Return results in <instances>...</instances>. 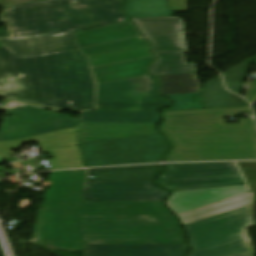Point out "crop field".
<instances>
[{
  "instance_id": "obj_1",
  "label": "crop field",
  "mask_w": 256,
  "mask_h": 256,
  "mask_svg": "<svg viewBox=\"0 0 256 256\" xmlns=\"http://www.w3.org/2000/svg\"><path fill=\"white\" fill-rule=\"evenodd\" d=\"M33 240L83 244H186L163 201L85 202L83 209H39Z\"/></svg>"
},
{
  "instance_id": "obj_2",
  "label": "crop field",
  "mask_w": 256,
  "mask_h": 256,
  "mask_svg": "<svg viewBox=\"0 0 256 256\" xmlns=\"http://www.w3.org/2000/svg\"><path fill=\"white\" fill-rule=\"evenodd\" d=\"M20 76L36 90L7 98L57 111L94 108L93 80L79 50L18 59L0 48V80Z\"/></svg>"
},
{
  "instance_id": "obj_3",
  "label": "crop field",
  "mask_w": 256,
  "mask_h": 256,
  "mask_svg": "<svg viewBox=\"0 0 256 256\" xmlns=\"http://www.w3.org/2000/svg\"><path fill=\"white\" fill-rule=\"evenodd\" d=\"M250 112L249 107L167 112L164 127L177 149L169 161L256 159L251 119L225 124L224 115Z\"/></svg>"
},
{
  "instance_id": "obj_4",
  "label": "crop field",
  "mask_w": 256,
  "mask_h": 256,
  "mask_svg": "<svg viewBox=\"0 0 256 256\" xmlns=\"http://www.w3.org/2000/svg\"><path fill=\"white\" fill-rule=\"evenodd\" d=\"M122 0H48L7 8L5 22L13 37L81 31L129 19Z\"/></svg>"
},
{
  "instance_id": "obj_5",
  "label": "crop field",
  "mask_w": 256,
  "mask_h": 256,
  "mask_svg": "<svg viewBox=\"0 0 256 256\" xmlns=\"http://www.w3.org/2000/svg\"><path fill=\"white\" fill-rule=\"evenodd\" d=\"M253 226L251 205L187 225L189 256H254L247 232Z\"/></svg>"
},
{
  "instance_id": "obj_6",
  "label": "crop field",
  "mask_w": 256,
  "mask_h": 256,
  "mask_svg": "<svg viewBox=\"0 0 256 256\" xmlns=\"http://www.w3.org/2000/svg\"><path fill=\"white\" fill-rule=\"evenodd\" d=\"M12 117L3 118L11 126L0 129V141L17 140L76 127L79 121L69 116L27 106L7 111Z\"/></svg>"
},
{
  "instance_id": "obj_7",
  "label": "crop field",
  "mask_w": 256,
  "mask_h": 256,
  "mask_svg": "<svg viewBox=\"0 0 256 256\" xmlns=\"http://www.w3.org/2000/svg\"><path fill=\"white\" fill-rule=\"evenodd\" d=\"M141 32L152 42V53L187 51L184 21L177 17L133 19Z\"/></svg>"
},
{
  "instance_id": "obj_8",
  "label": "crop field",
  "mask_w": 256,
  "mask_h": 256,
  "mask_svg": "<svg viewBox=\"0 0 256 256\" xmlns=\"http://www.w3.org/2000/svg\"><path fill=\"white\" fill-rule=\"evenodd\" d=\"M152 180L87 184L85 201L164 200L169 194L151 185Z\"/></svg>"
},
{
  "instance_id": "obj_9",
  "label": "crop field",
  "mask_w": 256,
  "mask_h": 256,
  "mask_svg": "<svg viewBox=\"0 0 256 256\" xmlns=\"http://www.w3.org/2000/svg\"><path fill=\"white\" fill-rule=\"evenodd\" d=\"M86 170L51 173L52 186L43 208H82Z\"/></svg>"
},
{
  "instance_id": "obj_10",
  "label": "crop field",
  "mask_w": 256,
  "mask_h": 256,
  "mask_svg": "<svg viewBox=\"0 0 256 256\" xmlns=\"http://www.w3.org/2000/svg\"><path fill=\"white\" fill-rule=\"evenodd\" d=\"M18 58L78 49L74 32L0 39Z\"/></svg>"
},
{
  "instance_id": "obj_11",
  "label": "crop field",
  "mask_w": 256,
  "mask_h": 256,
  "mask_svg": "<svg viewBox=\"0 0 256 256\" xmlns=\"http://www.w3.org/2000/svg\"><path fill=\"white\" fill-rule=\"evenodd\" d=\"M156 91V81L147 75L98 86L97 101L167 100Z\"/></svg>"
},
{
  "instance_id": "obj_12",
  "label": "crop field",
  "mask_w": 256,
  "mask_h": 256,
  "mask_svg": "<svg viewBox=\"0 0 256 256\" xmlns=\"http://www.w3.org/2000/svg\"><path fill=\"white\" fill-rule=\"evenodd\" d=\"M212 191H216L217 194H212ZM247 193L246 186L173 192L167 204L173 212L179 215Z\"/></svg>"
},
{
  "instance_id": "obj_13",
  "label": "crop field",
  "mask_w": 256,
  "mask_h": 256,
  "mask_svg": "<svg viewBox=\"0 0 256 256\" xmlns=\"http://www.w3.org/2000/svg\"><path fill=\"white\" fill-rule=\"evenodd\" d=\"M85 256H184L186 245H84Z\"/></svg>"
},
{
  "instance_id": "obj_14",
  "label": "crop field",
  "mask_w": 256,
  "mask_h": 256,
  "mask_svg": "<svg viewBox=\"0 0 256 256\" xmlns=\"http://www.w3.org/2000/svg\"><path fill=\"white\" fill-rule=\"evenodd\" d=\"M158 124L80 123V142L126 136L155 134Z\"/></svg>"
},
{
  "instance_id": "obj_15",
  "label": "crop field",
  "mask_w": 256,
  "mask_h": 256,
  "mask_svg": "<svg viewBox=\"0 0 256 256\" xmlns=\"http://www.w3.org/2000/svg\"><path fill=\"white\" fill-rule=\"evenodd\" d=\"M163 171V165L88 170L87 183L154 179ZM89 176L94 178L89 179Z\"/></svg>"
},
{
  "instance_id": "obj_16",
  "label": "crop field",
  "mask_w": 256,
  "mask_h": 256,
  "mask_svg": "<svg viewBox=\"0 0 256 256\" xmlns=\"http://www.w3.org/2000/svg\"><path fill=\"white\" fill-rule=\"evenodd\" d=\"M161 179L240 175L234 163L171 164Z\"/></svg>"
},
{
  "instance_id": "obj_17",
  "label": "crop field",
  "mask_w": 256,
  "mask_h": 256,
  "mask_svg": "<svg viewBox=\"0 0 256 256\" xmlns=\"http://www.w3.org/2000/svg\"><path fill=\"white\" fill-rule=\"evenodd\" d=\"M155 57H146L92 69L98 85L149 74Z\"/></svg>"
},
{
  "instance_id": "obj_18",
  "label": "crop field",
  "mask_w": 256,
  "mask_h": 256,
  "mask_svg": "<svg viewBox=\"0 0 256 256\" xmlns=\"http://www.w3.org/2000/svg\"><path fill=\"white\" fill-rule=\"evenodd\" d=\"M78 47L84 48L106 42L138 36L131 21L75 33Z\"/></svg>"
},
{
  "instance_id": "obj_19",
  "label": "crop field",
  "mask_w": 256,
  "mask_h": 256,
  "mask_svg": "<svg viewBox=\"0 0 256 256\" xmlns=\"http://www.w3.org/2000/svg\"><path fill=\"white\" fill-rule=\"evenodd\" d=\"M157 186L170 191L206 189L222 186L245 185L241 176L192 179L156 180Z\"/></svg>"
},
{
  "instance_id": "obj_20",
  "label": "crop field",
  "mask_w": 256,
  "mask_h": 256,
  "mask_svg": "<svg viewBox=\"0 0 256 256\" xmlns=\"http://www.w3.org/2000/svg\"><path fill=\"white\" fill-rule=\"evenodd\" d=\"M80 122L159 123L158 112H84Z\"/></svg>"
},
{
  "instance_id": "obj_21",
  "label": "crop field",
  "mask_w": 256,
  "mask_h": 256,
  "mask_svg": "<svg viewBox=\"0 0 256 256\" xmlns=\"http://www.w3.org/2000/svg\"><path fill=\"white\" fill-rule=\"evenodd\" d=\"M203 98L206 108L248 106L240 97L224 90L220 77L206 83Z\"/></svg>"
},
{
  "instance_id": "obj_22",
  "label": "crop field",
  "mask_w": 256,
  "mask_h": 256,
  "mask_svg": "<svg viewBox=\"0 0 256 256\" xmlns=\"http://www.w3.org/2000/svg\"><path fill=\"white\" fill-rule=\"evenodd\" d=\"M250 204V194H247L202 209H198L186 214L179 215V218L182 220L183 225H185Z\"/></svg>"
},
{
  "instance_id": "obj_23",
  "label": "crop field",
  "mask_w": 256,
  "mask_h": 256,
  "mask_svg": "<svg viewBox=\"0 0 256 256\" xmlns=\"http://www.w3.org/2000/svg\"><path fill=\"white\" fill-rule=\"evenodd\" d=\"M155 78L160 82V93L162 95L200 92L196 84L195 73L156 76Z\"/></svg>"
},
{
  "instance_id": "obj_24",
  "label": "crop field",
  "mask_w": 256,
  "mask_h": 256,
  "mask_svg": "<svg viewBox=\"0 0 256 256\" xmlns=\"http://www.w3.org/2000/svg\"><path fill=\"white\" fill-rule=\"evenodd\" d=\"M158 60L150 72L155 75L196 72V66L186 64L184 52L155 54Z\"/></svg>"
},
{
  "instance_id": "obj_25",
  "label": "crop field",
  "mask_w": 256,
  "mask_h": 256,
  "mask_svg": "<svg viewBox=\"0 0 256 256\" xmlns=\"http://www.w3.org/2000/svg\"><path fill=\"white\" fill-rule=\"evenodd\" d=\"M124 10L130 17L174 16L167 0H127Z\"/></svg>"
},
{
  "instance_id": "obj_26",
  "label": "crop field",
  "mask_w": 256,
  "mask_h": 256,
  "mask_svg": "<svg viewBox=\"0 0 256 256\" xmlns=\"http://www.w3.org/2000/svg\"><path fill=\"white\" fill-rule=\"evenodd\" d=\"M52 151L54 159H48L51 169H66L82 166V155L78 146L42 149Z\"/></svg>"
},
{
  "instance_id": "obj_27",
  "label": "crop field",
  "mask_w": 256,
  "mask_h": 256,
  "mask_svg": "<svg viewBox=\"0 0 256 256\" xmlns=\"http://www.w3.org/2000/svg\"><path fill=\"white\" fill-rule=\"evenodd\" d=\"M147 47H151L150 44L141 36H138L134 38H129L125 40H120L116 42H111V43H106L102 45L80 49V51L84 56H86L91 54H99V53L147 48Z\"/></svg>"
},
{
  "instance_id": "obj_28",
  "label": "crop field",
  "mask_w": 256,
  "mask_h": 256,
  "mask_svg": "<svg viewBox=\"0 0 256 256\" xmlns=\"http://www.w3.org/2000/svg\"><path fill=\"white\" fill-rule=\"evenodd\" d=\"M150 48L147 49H139V50H131V51H123V52H115V53H107V54H99V55H91L88 56L90 60L91 67H99L103 65L118 63L122 61L137 59L141 57L151 56L152 54L149 52Z\"/></svg>"
},
{
  "instance_id": "obj_29",
  "label": "crop field",
  "mask_w": 256,
  "mask_h": 256,
  "mask_svg": "<svg viewBox=\"0 0 256 256\" xmlns=\"http://www.w3.org/2000/svg\"><path fill=\"white\" fill-rule=\"evenodd\" d=\"M172 102H97V111H157Z\"/></svg>"
},
{
  "instance_id": "obj_30",
  "label": "crop field",
  "mask_w": 256,
  "mask_h": 256,
  "mask_svg": "<svg viewBox=\"0 0 256 256\" xmlns=\"http://www.w3.org/2000/svg\"><path fill=\"white\" fill-rule=\"evenodd\" d=\"M78 127L59 132L36 136L38 144L42 148L77 145Z\"/></svg>"
},
{
  "instance_id": "obj_31",
  "label": "crop field",
  "mask_w": 256,
  "mask_h": 256,
  "mask_svg": "<svg viewBox=\"0 0 256 256\" xmlns=\"http://www.w3.org/2000/svg\"><path fill=\"white\" fill-rule=\"evenodd\" d=\"M249 65L250 64L244 62L224 73L227 86L230 90L239 94L241 93L244 80L249 70V68H247Z\"/></svg>"
},
{
  "instance_id": "obj_32",
  "label": "crop field",
  "mask_w": 256,
  "mask_h": 256,
  "mask_svg": "<svg viewBox=\"0 0 256 256\" xmlns=\"http://www.w3.org/2000/svg\"><path fill=\"white\" fill-rule=\"evenodd\" d=\"M166 97L175 101L172 108L167 110L204 108L200 93L189 95H172Z\"/></svg>"
},
{
  "instance_id": "obj_33",
  "label": "crop field",
  "mask_w": 256,
  "mask_h": 256,
  "mask_svg": "<svg viewBox=\"0 0 256 256\" xmlns=\"http://www.w3.org/2000/svg\"><path fill=\"white\" fill-rule=\"evenodd\" d=\"M0 85L2 87L0 95L4 97L34 89L22 77L0 81Z\"/></svg>"
},
{
  "instance_id": "obj_34",
  "label": "crop field",
  "mask_w": 256,
  "mask_h": 256,
  "mask_svg": "<svg viewBox=\"0 0 256 256\" xmlns=\"http://www.w3.org/2000/svg\"><path fill=\"white\" fill-rule=\"evenodd\" d=\"M36 141L35 136L18 140V141H5L0 142V155L4 158L12 156L11 151L21 147L25 143L34 142Z\"/></svg>"
},
{
  "instance_id": "obj_35",
  "label": "crop field",
  "mask_w": 256,
  "mask_h": 256,
  "mask_svg": "<svg viewBox=\"0 0 256 256\" xmlns=\"http://www.w3.org/2000/svg\"><path fill=\"white\" fill-rule=\"evenodd\" d=\"M169 7L174 12H185L187 10L186 0H168Z\"/></svg>"
},
{
  "instance_id": "obj_36",
  "label": "crop field",
  "mask_w": 256,
  "mask_h": 256,
  "mask_svg": "<svg viewBox=\"0 0 256 256\" xmlns=\"http://www.w3.org/2000/svg\"><path fill=\"white\" fill-rule=\"evenodd\" d=\"M34 1H40V0H0V3L3 6L8 7V6H13V5L34 2Z\"/></svg>"
},
{
  "instance_id": "obj_37",
  "label": "crop field",
  "mask_w": 256,
  "mask_h": 256,
  "mask_svg": "<svg viewBox=\"0 0 256 256\" xmlns=\"http://www.w3.org/2000/svg\"><path fill=\"white\" fill-rule=\"evenodd\" d=\"M246 98L250 101L253 102L254 99L256 98V81L252 84Z\"/></svg>"
},
{
  "instance_id": "obj_38",
  "label": "crop field",
  "mask_w": 256,
  "mask_h": 256,
  "mask_svg": "<svg viewBox=\"0 0 256 256\" xmlns=\"http://www.w3.org/2000/svg\"><path fill=\"white\" fill-rule=\"evenodd\" d=\"M34 242L43 243V244H50V245H55V246H58V247L65 248V245H64V244H61V243H55V242H49V241H43V240L34 241Z\"/></svg>"
},
{
  "instance_id": "obj_39",
  "label": "crop field",
  "mask_w": 256,
  "mask_h": 256,
  "mask_svg": "<svg viewBox=\"0 0 256 256\" xmlns=\"http://www.w3.org/2000/svg\"><path fill=\"white\" fill-rule=\"evenodd\" d=\"M9 32L8 31H0V37H9Z\"/></svg>"
},
{
  "instance_id": "obj_40",
  "label": "crop field",
  "mask_w": 256,
  "mask_h": 256,
  "mask_svg": "<svg viewBox=\"0 0 256 256\" xmlns=\"http://www.w3.org/2000/svg\"><path fill=\"white\" fill-rule=\"evenodd\" d=\"M2 159H3V158L0 156V163H2Z\"/></svg>"
},
{
  "instance_id": "obj_41",
  "label": "crop field",
  "mask_w": 256,
  "mask_h": 256,
  "mask_svg": "<svg viewBox=\"0 0 256 256\" xmlns=\"http://www.w3.org/2000/svg\"><path fill=\"white\" fill-rule=\"evenodd\" d=\"M0 47H5V46H3V45L0 43Z\"/></svg>"
},
{
  "instance_id": "obj_42",
  "label": "crop field",
  "mask_w": 256,
  "mask_h": 256,
  "mask_svg": "<svg viewBox=\"0 0 256 256\" xmlns=\"http://www.w3.org/2000/svg\"><path fill=\"white\" fill-rule=\"evenodd\" d=\"M256 63V62H255Z\"/></svg>"
}]
</instances>
